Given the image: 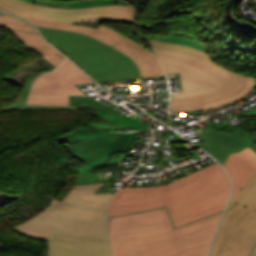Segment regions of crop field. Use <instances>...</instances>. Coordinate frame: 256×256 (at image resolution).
Returning <instances> with one entry per match:
<instances>
[{
  "mask_svg": "<svg viewBox=\"0 0 256 256\" xmlns=\"http://www.w3.org/2000/svg\"><path fill=\"white\" fill-rule=\"evenodd\" d=\"M28 20H30L36 26L80 32L102 40L128 55L137 64L144 77L165 75L163 67L157 56L146 50L137 42L123 36L109 27L99 25L97 29H91L78 25L34 19Z\"/></svg>",
  "mask_w": 256,
  "mask_h": 256,
  "instance_id": "obj_9",
  "label": "crop field"
},
{
  "mask_svg": "<svg viewBox=\"0 0 256 256\" xmlns=\"http://www.w3.org/2000/svg\"><path fill=\"white\" fill-rule=\"evenodd\" d=\"M12 34H14L18 39H20L23 43L31 47L34 51H36L41 56L45 57L49 62L53 65L58 63L59 61L65 59L59 52H57L53 47H51L46 41H44L40 36L22 33L17 31L9 30Z\"/></svg>",
  "mask_w": 256,
  "mask_h": 256,
  "instance_id": "obj_15",
  "label": "crop field"
},
{
  "mask_svg": "<svg viewBox=\"0 0 256 256\" xmlns=\"http://www.w3.org/2000/svg\"><path fill=\"white\" fill-rule=\"evenodd\" d=\"M159 56L167 74L180 72L183 92L172 96L195 93L226 86L230 71L214 63L200 50L170 43L147 41Z\"/></svg>",
  "mask_w": 256,
  "mask_h": 256,
  "instance_id": "obj_5",
  "label": "crop field"
},
{
  "mask_svg": "<svg viewBox=\"0 0 256 256\" xmlns=\"http://www.w3.org/2000/svg\"><path fill=\"white\" fill-rule=\"evenodd\" d=\"M69 105H80L83 107H89L92 109H98V110H102L105 112L114 113L119 116L122 115V113H120L104 104H101L89 97L70 96Z\"/></svg>",
  "mask_w": 256,
  "mask_h": 256,
  "instance_id": "obj_21",
  "label": "crop field"
},
{
  "mask_svg": "<svg viewBox=\"0 0 256 256\" xmlns=\"http://www.w3.org/2000/svg\"><path fill=\"white\" fill-rule=\"evenodd\" d=\"M231 73L232 81L225 88L173 97L169 110L173 113L197 110L199 107L221 103L240 95L248 86L247 77Z\"/></svg>",
  "mask_w": 256,
  "mask_h": 256,
  "instance_id": "obj_10",
  "label": "crop field"
},
{
  "mask_svg": "<svg viewBox=\"0 0 256 256\" xmlns=\"http://www.w3.org/2000/svg\"><path fill=\"white\" fill-rule=\"evenodd\" d=\"M197 130L199 133H197L198 135L196 136H199L203 142L198 145L216 158L222 165L230 153L239 152L244 149L232 140L223 137V135L217 133L209 127L203 130L198 128Z\"/></svg>",
  "mask_w": 256,
  "mask_h": 256,
  "instance_id": "obj_14",
  "label": "crop field"
},
{
  "mask_svg": "<svg viewBox=\"0 0 256 256\" xmlns=\"http://www.w3.org/2000/svg\"><path fill=\"white\" fill-rule=\"evenodd\" d=\"M229 193V178L215 163L167 185L119 189L110 203L108 217L166 207L175 229L222 212Z\"/></svg>",
  "mask_w": 256,
  "mask_h": 256,
  "instance_id": "obj_1",
  "label": "crop field"
},
{
  "mask_svg": "<svg viewBox=\"0 0 256 256\" xmlns=\"http://www.w3.org/2000/svg\"><path fill=\"white\" fill-rule=\"evenodd\" d=\"M0 11L32 24L24 17L41 20L80 23L100 20L134 23L135 9L126 5H104L85 9H56L33 5L22 0H0ZM36 28L34 24H32Z\"/></svg>",
  "mask_w": 256,
  "mask_h": 256,
  "instance_id": "obj_6",
  "label": "crop field"
},
{
  "mask_svg": "<svg viewBox=\"0 0 256 256\" xmlns=\"http://www.w3.org/2000/svg\"><path fill=\"white\" fill-rule=\"evenodd\" d=\"M207 126L213 128L217 132L225 135L226 137L234 140L236 143L241 145L242 147L249 146L254 151H256V136L248 133L247 131L235 127L230 124L229 121L226 122H218L214 124V122L208 124Z\"/></svg>",
  "mask_w": 256,
  "mask_h": 256,
  "instance_id": "obj_16",
  "label": "crop field"
},
{
  "mask_svg": "<svg viewBox=\"0 0 256 256\" xmlns=\"http://www.w3.org/2000/svg\"><path fill=\"white\" fill-rule=\"evenodd\" d=\"M49 256H109L108 240L57 234L49 241Z\"/></svg>",
  "mask_w": 256,
  "mask_h": 256,
  "instance_id": "obj_12",
  "label": "crop field"
},
{
  "mask_svg": "<svg viewBox=\"0 0 256 256\" xmlns=\"http://www.w3.org/2000/svg\"><path fill=\"white\" fill-rule=\"evenodd\" d=\"M94 114L104 118L107 123L119 126L120 117L117 115L108 114L97 110H94Z\"/></svg>",
  "mask_w": 256,
  "mask_h": 256,
  "instance_id": "obj_27",
  "label": "crop field"
},
{
  "mask_svg": "<svg viewBox=\"0 0 256 256\" xmlns=\"http://www.w3.org/2000/svg\"><path fill=\"white\" fill-rule=\"evenodd\" d=\"M106 132L108 131H100V130H95L90 128H78L77 130H75L70 134L57 138V141L58 142L65 141L72 144V143H76L84 139L91 138Z\"/></svg>",
  "mask_w": 256,
  "mask_h": 256,
  "instance_id": "obj_20",
  "label": "crop field"
},
{
  "mask_svg": "<svg viewBox=\"0 0 256 256\" xmlns=\"http://www.w3.org/2000/svg\"><path fill=\"white\" fill-rule=\"evenodd\" d=\"M236 203L256 211V174L230 201L227 210H229Z\"/></svg>",
  "mask_w": 256,
  "mask_h": 256,
  "instance_id": "obj_18",
  "label": "crop field"
},
{
  "mask_svg": "<svg viewBox=\"0 0 256 256\" xmlns=\"http://www.w3.org/2000/svg\"><path fill=\"white\" fill-rule=\"evenodd\" d=\"M223 166L233 181L232 199L256 173V153L248 147L239 153L230 154Z\"/></svg>",
  "mask_w": 256,
  "mask_h": 256,
  "instance_id": "obj_13",
  "label": "crop field"
},
{
  "mask_svg": "<svg viewBox=\"0 0 256 256\" xmlns=\"http://www.w3.org/2000/svg\"><path fill=\"white\" fill-rule=\"evenodd\" d=\"M42 62L46 65V66H51L52 64L49 63L45 58L41 59Z\"/></svg>",
  "mask_w": 256,
  "mask_h": 256,
  "instance_id": "obj_29",
  "label": "crop field"
},
{
  "mask_svg": "<svg viewBox=\"0 0 256 256\" xmlns=\"http://www.w3.org/2000/svg\"><path fill=\"white\" fill-rule=\"evenodd\" d=\"M47 71H42L38 73L37 75L44 73ZM33 76L27 79L23 86V90L19 96V98L16 100L15 103L10 104L6 107H4L0 112H5L12 109H77L78 106H43V105H25L27 95L32 87L33 79L37 76ZM38 77V76H37Z\"/></svg>",
  "mask_w": 256,
  "mask_h": 256,
  "instance_id": "obj_17",
  "label": "crop field"
},
{
  "mask_svg": "<svg viewBox=\"0 0 256 256\" xmlns=\"http://www.w3.org/2000/svg\"><path fill=\"white\" fill-rule=\"evenodd\" d=\"M82 125L83 126H88V127H93V128L104 129V130H113V129L126 130V129L121 128V127L109 126V125H107L105 123H101V122H88V121H84V120H82Z\"/></svg>",
  "mask_w": 256,
  "mask_h": 256,
  "instance_id": "obj_26",
  "label": "crop field"
},
{
  "mask_svg": "<svg viewBox=\"0 0 256 256\" xmlns=\"http://www.w3.org/2000/svg\"><path fill=\"white\" fill-rule=\"evenodd\" d=\"M93 82L68 59L35 78L26 104L68 105L69 95H84L74 84Z\"/></svg>",
  "mask_w": 256,
  "mask_h": 256,
  "instance_id": "obj_8",
  "label": "crop field"
},
{
  "mask_svg": "<svg viewBox=\"0 0 256 256\" xmlns=\"http://www.w3.org/2000/svg\"><path fill=\"white\" fill-rule=\"evenodd\" d=\"M120 126L124 127H132V128H140V129H145L147 126L135 119L126 117L124 115L121 116V121H120Z\"/></svg>",
  "mask_w": 256,
  "mask_h": 256,
  "instance_id": "obj_25",
  "label": "crop field"
},
{
  "mask_svg": "<svg viewBox=\"0 0 256 256\" xmlns=\"http://www.w3.org/2000/svg\"><path fill=\"white\" fill-rule=\"evenodd\" d=\"M255 86H256V78H255ZM245 116L246 117H253V116H256V109L248 112V113H245Z\"/></svg>",
  "mask_w": 256,
  "mask_h": 256,
  "instance_id": "obj_28",
  "label": "crop field"
},
{
  "mask_svg": "<svg viewBox=\"0 0 256 256\" xmlns=\"http://www.w3.org/2000/svg\"><path fill=\"white\" fill-rule=\"evenodd\" d=\"M136 135L137 133L120 134L112 131L66 148L71 155L87 164L111 153L129 151Z\"/></svg>",
  "mask_w": 256,
  "mask_h": 256,
  "instance_id": "obj_11",
  "label": "crop field"
},
{
  "mask_svg": "<svg viewBox=\"0 0 256 256\" xmlns=\"http://www.w3.org/2000/svg\"><path fill=\"white\" fill-rule=\"evenodd\" d=\"M141 37L144 38L145 40L150 39V40H155V41H164V42H171V43H175V44H179V45L190 46L193 48L200 49L207 54L203 44L193 41L191 39L178 37V36L156 37V36H143L142 35Z\"/></svg>",
  "mask_w": 256,
  "mask_h": 256,
  "instance_id": "obj_22",
  "label": "crop field"
},
{
  "mask_svg": "<svg viewBox=\"0 0 256 256\" xmlns=\"http://www.w3.org/2000/svg\"><path fill=\"white\" fill-rule=\"evenodd\" d=\"M252 254V253H251ZM251 256H256V248Z\"/></svg>",
  "mask_w": 256,
  "mask_h": 256,
  "instance_id": "obj_31",
  "label": "crop field"
},
{
  "mask_svg": "<svg viewBox=\"0 0 256 256\" xmlns=\"http://www.w3.org/2000/svg\"><path fill=\"white\" fill-rule=\"evenodd\" d=\"M0 27L4 28H13L15 30H21L31 33H37L31 27L17 21L16 19L8 16V15H0ZM38 34V33H37Z\"/></svg>",
  "mask_w": 256,
  "mask_h": 256,
  "instance_id": "obj_23",
  "label": "crop field"
},
{
  "mask_svg": "<svg viewBox=\"0 0 256 256\" xmlns=\"http://www.w3.org/2000/svg\"><path fill=\"white\" fill-rule=\"evenodd\" d=\"M34 4H41L45 6L57 7V8H85L103 4H127L121 0H93L87 2L65 3V2H48L44 0H25ZM129 5V4H127Z\"/></svg>",
  "mask_w": 256,
  "mask_h": 256,
  "instance_id": "obj_19",
  "label": "crop field"
},
{
  "mask_svg": "<svg viewBox=\"0 0 256 256\" xmlns=\"http://www.w3.org/2000/svg\"><path fill=\"white\" fill-rule=\"evenodd\" d=\"M44 38L82 67L97 82L143 78L125 54L90 36L38 27Z\"/></svg>",
  "mask_w": 256,
  "mask_h": 256,
  "instance_id": "obj_4",
  "label": "crop field"
},
{
  "mask_svg": "<svg viewBox=\"0 0 256 256\" xmlns=\"http://www.w3.org/2000/svg\"><path fill=\"white\" fill-rule=\"evenodd\" d=\"M255 243L256 212L236 204L222 218L211 256H247Z\"/></svg>",
  "mask_w": 256,
  "mask_h": 256,
  "instance_id": "obj_7",
  "label": "crop field"
},
{
  "mask_svg": "<svg viewBox=\"0 0 256 256\" xmlns=\"http://www.w3.org/2000/svg\"><path fill=\"white\" fill-rule=\"evenodd\" d=\"M101 184L75 186L62 202L53 199L49 207L16 228L33 237L48 239L56 232L107 237L106 215L113 193L94 194Z\"/></svg>",
  "mask_w": 256,
  "mask_h": 256,
  "instance_id": "obj_3",
  "label": "crop field"
},
{
  "mask_svg": "<svg viewBox=\"0 0 256 256\" xmlns=\"http://www.w3.org/2000/svg\"><path fill=\"white\" fill-rule=\"evenodd\" d=\"M14 229L16 230V231H18L15 227H14ZM18 232H20V231H18ZM20 233H22V232H20ZM23 234V233H22ZM25 235V234H24ZM26 236H28V235H26ZM30 237V236H29ZM33 238V237H32ZM35 239H38V238H35ZM41 240H48V239H41ZM49 241V240H48Z\"/></svg>",
  "mask_w": 256,
  "mask_h": 256,
  "instance_id": "obj_30",
  "label": "crop field"
},
{
  "mask_svg": "<svg viewBox=\"0 0 256 256\" xmlns=\"http://www.w3.org/2000/svg\"><path fill=\"white\" fill-rule=\"evenodd\" d=\"M222 213L175 230L165 208L108 218L111 256H207Z\"/></svg>",
  "mask_w": 256,
  "mask_h": 256,
  "instance_id": "obj_2",
  "label": "crop field"
},
{
  "mask_svg": "<svg viewBox=\"0 0 256 256\" xmlns=\"http://www.w3.org/2000/svg\"><path fill=\"white\" fill-rule=\"evenodd\" d=\"M53 67L48 68V70H51Z\"/></svg>",
  "mask_w": 256,
  "mask_h": 256,
  "instance_id": "obj_32",
  "label": "crop field"
},
{
  "mask_svg": "<svg viewBox=\"0 0 256 256\" xmlns=\"http://www.w3.org/2000/svg\"><path fill=\"white\" fill-rule=\"evenodd\" d=\"M248 77V76H247ZM248 82H249V86H248V89L243 93L241 94L240 96H238L237 98L235 99H232V100H229V101H226L224 103H221V104H217V105H212V106H208V107H203L201 108V110H207V109H210V108H214V107H218V106H221V105H224V104H228V103H232L234 101H237L243 97H245L247 94H249L253 88H254V78L252 77H248Z\"/></svg>",
  "mask_w": 256,
  "mask_h": 256,
  "instance_id": "obj_24",
  "label": "crop field"
}]
</instances>
